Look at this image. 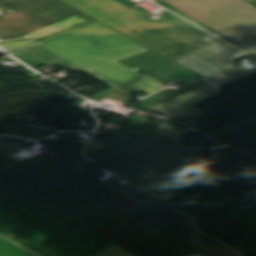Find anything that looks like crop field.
<instances>
[{"mask_svg":"<svg viewBox=\"0 0 256 256\" xmlns=\"http://www.w3.org/2000/svg\"><path fill=\"white\" fill-rule=\"evenodd\" d=\"M67 179L93 194L56 212L139 256H193L227 247L132 183L103 182L87 170Z\"/></svg>","mask_w":256,"mask_h":256,"instance_id":"8a807250","label":"crop field"},{"mask_svg":"<svg viewBox=\"0 0 256 256\" xmlns=\"http://www.w3.org/2000/svg\"><path fill=\"white\" fill-rule=\"evenodd\" d=\"M146 51L92 20L10 53L33 68L50 64L86 72L128 95L140 90L150 94L163 88L118 62Z\"/></svg>","mask_w":256,"mask_h":256,"instance_id":"ac0d7876","label":"crop field"},{"mask_svg":"<svg viewBox=\"0 0 256 256\" xmlns=\"http://www.w3.org/2000/svg\"><path fill=\"white\" fill-rule=\"evenodd\" d=\"M0 234L43 256H88L113 245L12 191L0 196Z\"/></svg>","mask_w":256,"mask_h":256,"instance_id":"34b2d1b8","label":"crop field"},{"mask_svg":"<svg viewBox=\"0 0 256 256\" xmlns=\"http://www.w3.org/2000/svg\"><path fill=\"white\" fill-rule=\"evenodd\" d=\"M90 146L179 192L192 168L189 163L202 151L178 144L136 123L122 127L109 138L92 140Z\"/></svg>","mask_w":256,"mask_h":256,"instance_id":"412701ff","label":"crop field"},{"mask_svg":"<svg viewBox=\"0 0 256 256\" xmlns=\"http://www.w3.org/2000/svg\"><path fill=\"white\" fill-rule=\"evenodd\" d=\"M84 146L67 140L44 154L0 171V183L57 210L91 192L65 178L93 163L84 159ZM51 209V208H50Z\"/></svg>","mask_w":256,"mask_h":256,"instance_id":"f4fd0767","label":"crop field"},{"mask_svg":"<svg viewBox=\"0 0 256 256\" xmlns=\"http://www.w3.org/2000/svg\"><path fill=\"white\" fill-rule=\"evenodd\" d=\"M62 1L174 61L202 50L112 0Z\"/></svg>","mask_w":256,"mask_h":256,"instance_id":"dd49c442","label":"crop field"},{"mask_svg":"<svg viewBox=\"0 0 256 256\" xmlns=\"http://www.w3.org/2000/svg\"><path fill=\"white\" fill-rule=\"evenodd\" d=\"M0 42L37 40L91 19L58 0H0Z\"/></svg>","mask_w":256,"mask_h":256,"instance_id":"e52e79f7","label":"crop field"},{"mask_svg":"<svg viewBox=\"0 0 256 256\" xmlns=\"http://www.w3.org/2000/svg\"><path fill=\"white\" fill-rule=\"evenodd\" d=\"M232 38L246 33L256 38V7L244 0H164Z\"/></svg>","mask_w":256,"mask_h":256,"instance_id":"d8731c3e","label":"crop field"},{"mask_svg":"<svg viewBox=\"0 0 256 256\" xmlns=\"http://www.w3.org/2000/svg\"><path fill=\"white\" fill-rule=\"evenodd\" d=\"M202 40L213 46L176 62L207 77L221 87L256 76V62H252L255 66L249 68L243 65L238 66L233 62L248 55L212 35Z\"/></svg>","mask_w":256,"mask_h":256,"instance_id":"5a996713","label":"crop field"},{"mask_svg":"<svg viewBox=\"0 0 256 256\" xmlns=\"http://www.w3.org/2000/svg\"><path fill=\"white\" fill-rule=\"evenodd\" d=\"M120 62L162 86L173 81L184 87L175 93L164 89L130 104V106L141 111L188 92L205 81V79L189 72L153 51H149Z\"/></svg>","mask_w":256,"mask_h":256,"instance_id":"3316defc","label":"crop field"},{"mask_svg":"<svg viewBox=\"0 0 256 256\" xmlns=\"http://www.w3.org/2000/svg\"><path fill=\"white\" fill-rule=\"evenodd\" d=\"M220 86L206 80L194 90L166 101L153 108L181 121L189 116L198 119L209 115L197 108L200 102L216 97Z\"/></svg>","mask_w":256,"mask_h":256,"instance_id":"28ad6ade","label":"crop field"},{"mask_svg":"<svg viewBox=\"0 0 256 256\" xmlns=\"http://www.w3.org/2000/svg\"><path fill=\"white\" fill-rule=\"evenodd\" d=\"M123 6L135 11L136 13L150 19L148 17V10L143 7H134L133 2L129 0H114ZM151 21L163 26L164 28L176 33L177 35L191 41L192 43L202 47L207 48L211 45L201 41L200 39L209 35L208 33L202 31L201 29L195 27L194 25L186 22L185 20L179 18L178 16L168 12L160 16L156 21L150 19Z\"/></svg>","mask_w":256,"mask_h":256,"instance_id":"d1516ede","label":"crop field"},{"mask_svg":"<svg viewBox=\"0 0 256 256\" xmlns=\"http://www.w3.org/2000/svg\"><path fill=\"white\" fill-rule=\"evenodd\" d=\"M85 155L87 158L92 160L93 162L97 163L98 165L120 175H124L123 177L132 183L148 190L149 192L161 197L165 193V187L161 186L160 184L154 182L153 180L149 179L145 175L111 159L110 157L106 156L105 154L99 152L98 150L88 146L85 149Z\"/></svg>","mask_w":256,"mask_h":256,"instance_id":"22f410ed","label":"crop field"},{"mask_svg":"<svg viewBox=\"0 0 256 256\" xmlns=\"http://www.w3.org/2000/svg\"><path fill=\"white\" fill-rule=\"evenodd\" d=\"M17 124H18L17 122L11 121V122L7 123L6 125L2 126L0 128V132L3 134L19 135V136H23L25 138H32V139H39V138L47 137V136L57 132V130H55L45 124L38 125L30 130L22 128Z\"/></svg>","mask_w":256,"mask_h":256,"instance_id":"cbeb9de0","label":"crop field"},{"mask_svg":"<svg viewBox=\"0 0 256 256\" xmlns=\"http://www.w3.org/2000/svg\"><path fill=\"white\" fill-rule=\"evenodd\" d=\"M89 99L115 106H123L127 103L134 101L133 99L127 97L126 95L120 93L119 91L113 88L104 91L100 94L89 97Z\"/></svg>","mask_w":256,"mask_h":256,"instance_id":"5142ce71","label":"crop field"},{"mask_svg":"<svg viewBox=\"0 0 256 256\" xmlns=\"http://www.w3.org/2000/svg\"><path fill=\"white\" fill-rule=\"evenodd\" d=\"M154 131L180 143L184 138H186L190 132L184 130L183 128L177 126L176 124L165 121L159 127H157Z\"/></svg>","mask_w":256,"mask_h":256,"instance_id":"d9b57169","label":"crop field"},{"mask_svg":"<svg viewBox=\"0 0 256 256\" xmlns=\"http://www.w3.org/2000/svg\"><path fill=\"white\" fill-rule=\"evenodd\" d=\"M218 32L213 34L246 52L256 50V40L246 34L230 39Z\"/></svg>","mask_w":256,"mask_h":256,"instance_id":"733c2abd","label":"crop field"},{"mask_svg":"<svg viewBox=\"0 0 256 256\" xmlns=\"http://www.w3.org/2000/svg\"><path fill=\"white\" fill-rule=\"evenodd\" d=\"M0 256H36L0 237Z\"/></svg>","mask_w":256,"mask_h":256,"instance_id":"4a817a6b","label":"crop field"},{"mask_svg":"<svg viewBox=\"0 0 256 256\" xmlns=\"http://www.w3.org/2000/svg\"><path fill=\"white\" fill-rule=\"evenodd\" d=\"M90 256H136V255L119 247L118 245H113L109 248H106Z\"/></svg>","mask_w":256,"mask_h":256,"instance_id":"bc2a9ffb","label":"crop field"},{"mask_svg":"<svg viewBox=\"0 0 256 256\" xmlns=\"http://www.w3.org/2000/svg\"><path fill=\"white\" fill-rule=\"evenodd\" d=\"M155 2L158 3V4H160V5H162V6H164V7H166V8H168V9H170V10H172V11H174L175 13L181 15L182 17L188 19L189 21H191V22L197 24L198 26L204 28L205 30H207V31H209V32H211V33L216 32L215 30H213L212 28L208 27L207 25L201 23L200 21H198V20L192 18L191 16L185 14L184 12L178 10L177 8H175V7L171 6V5H169L168 3H166V2H164V1H162V0H157V1H155Z\"/></svg>","mask_w":256,"mask_h":256,"instance_id":"214f88e0","label":"crop field"},{"mask_svg":"<svg viewBox=\"0 0 256 256\" xmlns=\"http://www.w3.org/2000/svg\"><path fill=\"white\" fill-rule=\"evenodd\" d=\"M19 140H21V139L20 138L0 136V149L3 150V151H6L8 153H11V152L16 151L18 149H21L23 147L14 145Z\"/></svg>","mask_w":256,"mask_h":256,"instance_id":"92a150f3","label":"crop field"},{"mask_svg":"<svg viewBox=\"0 0 256 256\" xmlns=\"http://www.w3.org/2000/svg\"><path fill=\"white\" fill-rule=\"evenodd\" d=\"M22 161L21 159L0 150V170Z\"/></svg>","mask_w":256,"mask_h":256,"instance_id":"dafd665d","label":"crop field"},{"mask_svg":"<svg viewBox=\"0 0 256 256\" xmlns=\"http://www.w3.org/2000/svg\"><path fill=\"white\" fill-rule=\"evenodd\" d=\"M36 40H24V41H18V42H11V43H5V44H0V47L6 51V52H9L11 50H14L16 48H19L21 46H24L26 44H29L31 42H34Z\"/></svg>","mask_w":256,"mask_h":256,"instance_id":"00972430","label":"crop field"},{"mask_svg":"<svg viewBox=\"0 0 256 256\" xmlns=\"http://www.w3.org/2000/svg\"><path fill=\"white\" fill-rule=\"evenodd\" d=\"M8 191H10V190H8V189H6V188L0 186V195L6 193V192H8Z\"/></svg>","mask_w":256,"mask_h":256,"instance_id":"a9b5d70f","label":"crop field"},{"mask_svg":"<svg viewBox=\"0 0 256 256\" xmlns=\"http://www.w3.org/2000/svg\"><path fill=\"white\" fill-rule=\"evenodd\" d=\"M248 1L249 3L253 4L254 6H256V0H246Z\"/></svg>","mask_w":256,"mask_h":256,"instance_id":"4177f3b9","label":"crop field"},{"mask_svg":"<svg viewBox=\"0 0 256 256\" xmlns=\"http://www.w3.org/2000/svg\"><path fill=\"white\" fill-rule=\"evenodd\" d=\"M251 55L255 56L256 57V52L255 53H252Z\"/></svg>","mask_w":256,"mask_h":256,"instance_id":"730fd06b","label":"crop field"},{"mask_svg":"<svg viewBox=\"0 0 256 256\" xmlns=\"http://www.w3.org/2000/svg\"><path fill=\"white\" fill-rule=\"evenodd\" d=\"M2 51L0 50V53H1Z\"/></svg>","mask_w":256,"mask_h":256,"instance_id":"eef30255","label":"crop field"},{"mask_svg":"<svg viewBox=\"0 0 256 256\" xmlns=\"http://www.w3.org/2000/svg\"><path fill=\"white\" fill-rule=\"evenodd\" d=\"M197 256H200V255H197Z\"/></svg>","mask_w":256,"mask_h":256,"instance_id":"ae1a2a85","label":"crop field"}]
</instances>
